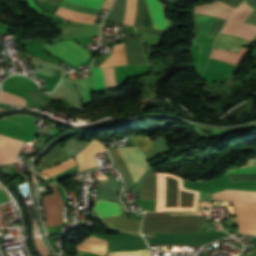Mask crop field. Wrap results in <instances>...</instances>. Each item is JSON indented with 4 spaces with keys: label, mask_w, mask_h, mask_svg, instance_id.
I'll return each mask as SVG.
<instances>
[{
    "label": "crop field",
    "mask_w": 256,
    "mask_h": 256,
    "mask_svg": "<svg viewBox=\"0 0 256 256\" xmlns=\"http://www.w3.org/2000/svg\"><path fill=\"white\" fill-rule=\"evenodd\" d=\"M52 189L54 194L43 198L48 227L63 224L61 207L64 203L54 184H52Z\"/></svg>",
    "instance_id": "3316defc"
},
{
    "label": "crop field",
    "mask_w": 256,
    "mask_h": 256,
    "mask_svg": "<svg viewBox=\"0 0 256 256\" xmlns=\"http://www.w3.org/2000/svg\"><path fill=\"white\" fill-rule=\"evenodd\" d=\"M66 97L73 106V108L82 107L76 90L68 94Z\"/></svg>",
    "instance_id": "d3111659"
},
{
    "label": "crop field",
    "mask_w": 256,
    "mask_h": 256,
    "mask_svg": "<svg viewBox=\"0 0 256 256\" xmlns=\"http://www.w3.org/2000/svg\"><path fill=\"white\" fill-rule=\"evenodd\" d=\"M224 23H225L224 20L216 18L213 25L211 26L208 33L206 34V36L216 37L219 34Z\"/></svg>",
    "instance_id": "730fd06b"
},
{
    "label": "crop field",
    "mask_w": 256,
    "mask_h": 256,
    "mask_svg": "<svg viewBox=\"0 0 256 256\" xmlns=\"http://www.w3.org/2000/svg\"><path fill=\"white\" fill-rule=\"evenodd\" d=\"M45 47L55 54L64 57L74 65L87 60L90 56L86 53L88 50L72 43L71 41L45 45Z\"/></svg>",
    "instance_id": "5a996713"
},
{
    "label": "crop field",
    "mask_w": 256,
    "mask_h": 256,
    "mask_svg": "<svg viewBox=\"0 0 256 256\" xmlns=\"http://www.w3.org/2000/svg\"><path fill=\"white\" fill-rule=\"evenodd\" d=\"M245 22L256 25V10H253V12L249 15Z\"/></svg>",
    "instance_id": "1d83c4d3"
},
{
    "label": "crop field",
    "mask_w": 256,
    "mask_h": 256,
    "mask_svg": "<svg viewBox=\"0 0 256 256\" xmlns=\"http://www.w3.org/2000/svg\"><path fill=\"white\" fill-rule=\"evenodd\" d=\"M152 12L157 28L167 29L168 24L163 15L162 7L158 0H146ZM137 11V0H127L126 16L123 23L132 25L134 24L135 15ZM134 26L144 27V1L138 0V11Z\"/></svg>",
    "instance_id": "dd49c442"
},
{
    "label": "crop field",
    "mask_w": 256,
    "mask_h": 256,
    "mask_svg": "<svg viewBox=\"0 0 256 256\" xmlns=\"http://www.w3.org/2000/svg\"><path fill=\"white\" fill-rule=\"evenodd\" d=\"M210 57L220 59L235 65H237L238 61L241 58V56L239 55H234V54H230V53H226L218 50H213Z\"/></svg>",
    "instance_id": "dafd665d"
},
{
    "label": "crop field",
    "mask_w": 256,
    "mask_h": 256,
    "mask_svg": "<svg viewBox=\"0 0 256 256\" xmlns=\"http://www.w3.org/2000/svg\"><path fill=\"white\" fill-rule=\"evenodd\" d=\"M127 64H148L142 53V43L140 38L129 39L125 43ZM124 44L114 47L113 53L100 66H117L126 64ZM107 88L116 87L113 67L103 68ZM102 68H95L92 66L91 72L93 74V91L105 89V81Z\"/></svg>",
    "instance_id": "ac0d7876"
},
{
    "label": "crop field",
    "mask_w": 256,
    "mask_h": 256,
    "mask_svg": "<svg viewBox=\"0 0 256 256\" xmlns=\"http://www.w3.org/2000/svg\"><path fill=\"white\" fill-rule=\"evenodd\" d=\"M30 7L34 8L37 11H41L42 9L33 1V0H27Z\"/></svg>",
    "instance_id": "d32e631a"
},
{
    "label": "crop field",
    "mask_w": 256,
    "mask_h": 256,
    "mask_svg": "<svg viewBox=\"0 0 256 256\" xmlns=\"http://www.w3.org/2000/svg\"><path fill=\"white\" fill-rule=\"evenodd\" d=\"M94 208L100 218L120 216L121 208L119 204L97 201ZM102 220L121 230L139 231L141 224V220L125 217L106 218Z\"/></svg>",
    "instance_id": "e52e79f7"
},
{
    "label": "crop field",
    "mask_w": 256,
    "mask_h": 256,
    "mask_svg": "<svg viewBox=\"0 0 256 256\" xmlns=\"http://www.w3.org/2000/svg\"><path fill=\"white\" fill-rule=\"evenodd\" d=\"M0 188H1V186H0Z\"/></svg>",
    "instance_id": "0bd39190"
},
{
    "label": "crop field",
    "mask_w": 256,
    "mask_h": 256,
    "mask_svg": "<svg viewBox=\"0 0 256 256\" xmlns=\"http://www.w3.org/2000/svg\"><path fill=\"white\" fill-rule=\"evenodd\" d=\"M207 216L167 217V212H146L142 232H202ZM223 231L205 233H155L149 244L203 245L226 236Z\"/></svg>",
    "instance_id": "8a807250"
},
{
    "label": "crop field",
    "mask_w": 256,
    "mask_h": 256,
    "mask_svg": "<svg viewBox=\"0 0 256 256\" xmlns=\"http://www.w3.org/2000/svg\"><path fill=\"white\" fill-rule=\"evenodd\" d=\"M67 83H71L70 78H63L61 79L57 89L49 94L51 98H55V99H59L61 97H63L64 95H66L67 93L71 92L68 87L65 85ZM60 100V99H59Z\"/></svg>",
    "instance_id": "00972430"
},
{
    "label": "crop field",
    "mask_w": 256,
    "mask_h": 256,
    "mask_svg": "<svg viewBox=\"0 0 256 256\" xmlns=\"http://www.w3.org/2000/svg\"><path fill=\"white\" fill-rule=\"evenodd\" d=\"M156 173L146 174L142 180V199L155 200Z\"/></svg>",
    "instance_id": "733c2abd"
},
{
    "label": "crop field",
    "mask_w": 256,
    "mask_h": 256,
    "mask_svg": "<svg viewBox=\"0 0 256 256\" xmlns=\"http://www.w3.org/2000/svg\"><path fill=\"white\" fill-rule=\"evenodd\" d=\"M71 156L56 150L55 148L49 152L47 155H45L44 157L41 158L40 162L38 163V165L41 166L42 169L49 167L51 165L60 163L68 158H70Z\"/></svg>",
    "instance_id": "4a817a6b"
},
{
    "label": "crop field",
    "mask_w": 256,
    "mask_h": 256,
    "mask_svg": "<svg viewBox=\"0 0 256 256\" xmlns=\"http://www.w3.org/2000/svg\"><path fill=\"white\" fill-rule=\"evenodd\" d=\"M107 246V241L101 240L92 236L87 237L86 239L82 240L75 249L88 251L92 253L99 254L101 256L105 255Z\"/></svg>",
    "instance_id": "d9b57169"
},
{
    "label": "crop field",
    "mask_w": 256,
    "mask_h": 256,
    "mask_svg": "<svg viewBox=\"0 0 256 256\" xmlns=\"http://www.w3.org/2000/svg\"><path fill=\"white\" fill-rule=\"evenodd\" d=\"M136 31H141V32H145V33H149L157 36H162L164 32L161 30H153V29H145V28H137Z\"/></svg>",
    "instance_id": "bd1437ed"
},
{
    "label": "crop field",
    "mask_w": 256,
    "mask_h": 256,
    "mask_svg": "<svg viewBox=\"0 0 256 256\" xmlns=\"http://www.w3.org/2000/svg\"><path fill=\"white\" fill-rule=\"evenodd\" d=\"M251 7L256 8V0H245Z\"/></svg>",
    "instance_id": "5866460e"
},
{
    "label": "crop field",
    "mask_w": 256,
    "mask_h": 256,
    "mask_svg": "<svg viewBox=\"0 0 256 256\" xmlns=\"http://www.w3.org/2000/svg\"><path fill=\"white\" fill-rule=\"evenodd\" d=\"M20 125L0 119V134L15 138L20 129Z\"/></svg>",
    "instance_id": "214f88e0"
},
{
    "label": "crop field",
    "mask_w": 256,
    "mask_h": 256,
    "mask_svg": "<svg viewBox=\"0 0 256 256\" xmlns=\"http://www.w3.org/2000/svg\"><path fill=\"white\" fill-rule=\"evenodd\" d=\"M252 10L248 4L243 2L230 14L222 32L242 36L251 40L256 35V26L243 22Z\"/></svg>",
    "instance_id": "d8731c3e"
},
{
    "label": "crop field",
    "mask_w": 256,
    "mask_h": 256,
    "mask_svg": "<svg viewBox=\"0 0 256 256\" xmlns=\"http://www.w3.org/2000/svg\"><path fill=\"white\" fill-rule=\"evenodd\" d=\"M213 199L233 201L236 214L256 216V192L224 190L214 193ZM240 215H236L238 233L256 234V217Z\"/></svg>",
    "instance_id": "412701ff"
},
{
    "label": "crop field",
    "mask_w": 256,
    "mask_h": 256,
    "mask_svg": "<svg viewBox=\"0 0 256 256\" xmlns=\"http://www.w3.org/2000/svg\"><path fill=\"white\" fill-rule=\"evenodd\" d=\"M1 102L9 103V104H14L18 106L25 107L26 101L16 95L6 93L2 91L1 97H0Z\"/></svg>",
    "instance_id": "a9b5d70f"
},
{
    "label": "crop field",
    "mask_w": 256,
    "mask_h": 256,
    "mask_svg": "<svg viewBox=\"0 0 256 256\" xmlns=\"http://www.w3.org/2000/svg\"><path fill=\"white\" fill-rule=\"evenodd\" d=\"M254 253H256V252H254Z\"/></svg>",
    "instance_id": "028f5c9d"
},
{
    "label": "crop field",
    "mask_w": 256,
    "mask_h": 256,
    "mask_svg": "<svg viewBox=\"0 0 256 256\" xmlns=\"http://www.w3.org/2000/svg\"><path fill=\"white\" fill-rule=\"evenodd\" d=\"M0 110H2V109H0Z\"/></svg>",
    "instance_id": "e1f06a70"
},
{
    "label": "crop field",
    "mask_w": 256,
    "mask_h": 256,
    "mask_svg": "<svg viewBox=\"0 0 256 256\" xmlns=\"http://www.w3.org/2000/svg\"><path fill=\"white\" fill-rule=\"evenodd\" d=\"M241 174H256V166L230 170L227 172V175H241ZM256 191V189H255Z\"/></svg>",
    "instance_id": "ae1a2a85"
},
{
    "label": "crop field",
    "mask_w": 256,
    "mask_h": 256,
    "mask_svg": "<svg viewBox=\"0 0 256 256\" xmlns=\"http://www.w3.org/2000/svg\"><path fill=\"white\" fill-rule=\"evenodd\" d=\"M104 151H105L104 146L101 143L93 140L80 154L75 156L79 163L80 171L97 167L98 165L92 154L100 153Z\"/></svg>",
    "instance_id": "cbeb9de0"
},
{
    "label": "crop field",
    "mask_w": 256,
    "mask_h": 256,
    "mask_svg": "<svg viewBox=\"0 0 256 256\" xmlns=\"http://www.w3.org/2000/svg\"><path fill=\"white\" fill-rule=\"evenodd\" d=\"M199 192L182 187V181L171 174L158 173L156 211L197 210Z\"/></svg>",
    "instance_id": "34b2d1b8"
},
{
    "label": "crop field",
    "mask_w": 256,
    "mask_h": 256,
    "mask_svg": "<svg viewBox=\"0 0 256 256\" xmlns=\"http://www.w3.org/2000/svg\"><path fill=\"white\" fill-rule=\"evenodd\" d=\"M250 103H251V101L245 103L244 105L237 108L236 110H234L232 113H230L229 115H227L223 119H236V118H238L240 115H242L243 113H245L247 110L250 109Z\"/></svg>",
    "instance_id": "eef30255"
},
{
    "label": "crop field",
    "mask_w": 256,
    "mask_h": 256,
    "mask_svg": "<svg viewBox=\"0 0 256 256\" xmlns=\"http://www.w3.org/2000/svg\"><path fill=\"white\" fill-rule=\"evenodd\" d=\"M143 150L148 160L152 158L157 152L148 136H136L132 138Z\"/></svg>",
    "instance_id": "bc2a9ffb"
},
{
    "label": "crop field",
    "mask_w": 256,
    "mask_h": 256,
    "mask_svg": "<svg viewBox=\"0 0 256 256\" xmlns=\"http://www.w3.org/2000/svg\"><path fill=\"white\" fill-rule=\"evenodd\" d=\"M219 1L228 3L236 8L243 0H219Z\"/></svg>",
    "instance_id": "120bbe31"
},
{
    "label": "crop field",
    "mask_w": 256,
    "mask_h": 256,
    "mask_svg": "<svg viewBox=\"0 0 256 256\" xmlns=\"http://www.w3.org/2000/svg\"><path fill=\"white\" fill-rule=\"evenodd\" d=\"M35 245L36 248L38 250V252L42 255V256H46L49 252L47 251V249L42 245L41 241L39 238H35Z\"/></svg>",
    "instance_id": "750c4746"
},
{
    "label": "crop field",
    "mask_w": 256,
    "mask_h": 256,
    "mask_svg": "<svg viewBox=\"0 0 256 256\" xmlns=\"http://www.w3.org/2000/svg\"><path fill=\"white\" fill-rule=\"evenodd\" d=\"M75 165V162L74 160H68V161H65L53 168H50V169H47V170H43V171H40L41 173H46V174H49L51 177L54 176L55 174L67 169V168H70L72 166Z\"/></svg>",
    "instance_id": "4177f3b9"
},
{
    "label": "crop field",
    "mask_w": 256,
    "mask_h": 256,
    "mask_svg": "<svg viewBox=\"0 0 256 256\" xmlns=\"http://www.w3.org/2000/svg\"><path fill=\"white\" fill-rule=\"evenodd\" d=\"M23 143V141L0 135V164L18 162L16 157Z\"/></svg>",
    "instance_id": "22f410ed"
},
{
    "label": "crop field",
    "mask_w": 256,
    "mask_h": 256,
    "mask_svg": "<svg viewBox=\"0 0 256 256\" xmlns=\"http://www.w3.org/2000/svg\"><path fill=\"white\" fill-rule=\"evenodd\" d=\"M75 84H77L81 90V93L83 95L84 104H88L91 102L90 98V77L83 78L77 81H74Z\"/></svg>",
    "instance_id": "92a150f3"
},
{
    "label": "crop field",
    "mask_w": 256,
    "mask_h": 256,
    "mask_svg": "<svg viewBox=\"0 0 256 256\" xmlns=\"http://www.w3.org/2000/svg\"><path fill=\"white\" fill-rule=\"evenodd\" d=\"M110 149L115 159L117 160L127 182H133L132 177L136 182L140 178V176L147 170L148 165L146 162V158L139 148H132V147L118 148L120 154L122 155L124 161L126 162L132 174V177L121 155L119 154L117 148H110Z\"/></svg>",
    "instance_id": "f4fd0767"
},
{
    "label": "crop field",
    "mask_w": 256,
    "mask_h": 256,
    "mask_svg": "<svg viewBox=\"0 0 256 256\" xmlns=\"http://www.w3.org/2000/svg\"><path fill=\"white\" fill-rule=\"evenodd\" d=\"M110 251H119V250H139V249H148L146 243L143 239H132V240H108ZM116 253H121L129 256H150L148 250H139V251H119ZM116 253H109V256H125Z\"/></svg>",
    "instance_id": "28ad6ade"
},
{
    "label": "crop field",
    "mask_w": 256,
    "mask_h": 256,
    "mask_svg": "<svg viewBox=\"0 0 256 256\" xmlns=\"http://www.w3.org/2000/svg\"><path fill=\"white\" fill-rule=\"evenodd\" d=\"M68 1L78 3L84 6H88L94 9H98V10L100 9L102 3L104 2V0H68ZM56 15L61 16L66 20L87 22V23H92L95 17V16L87 15L84 13L72 11L69 9L61 8V7L58 8Z\"/></svg>",
    "instance_id": "d1516ede"
},
{
    "label": "crop field",
    "mask_w": 256,
    "mask_h": 256,
    "mask_svg": "<svg viewBox=\"0 0 256 256\" xmlns=\"http://www.w3.org/2000/svg\"><path fill=\"white\" fill-rule=\"evenodd\" d=\"M235 8L218 1L193 7V13L207 14L227 19L228 14Z\"/></svg>",
    "instance_id": "5142ce71"
}]
</instances>
